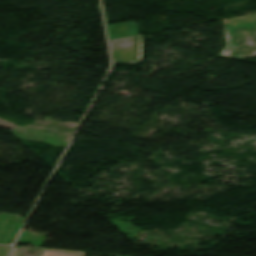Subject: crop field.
<instances>
[{"label": "crop field", "mask_w": 256, "mask_h": 256, "mask_svg": "<svg viewBox=\"0 0 256 256\" xmlns=\"http://www.w3.org/2000/svg\"><path fill=\"white\" fill-rule=\"evenodd\" d=\"M19 248H14L12 256H18ZM42 256H86L85 253H72V252H58L42 250Z\"/></svg>", "instance_id": "412701ff"}, {"label": "crop field", "mask_w": 256, "mask_h": 256, "mask_svg": "<svg viewBox=\"0 0 256 256\" xmlns=\"http://www.w3.org/2000/svg\"><path fill=\"white\" fill-rule=\"evenodd\" d=\"M227 44L221 55L246 58L256 55V14L224 20Z\"/></svg>", "instance_id": "8a807250"}, {"label": "crop field", "mask_w": 256, "mask_h": 256, "mask_svg": "<svg viewBox=\"0 0 256 256\" xmlns=\"http://www.w3.org/2000/svg\"><path fill=\"white\" fill-rule=\"evenodd\" d=\"M114 63H138L141 57V35L110 41Z\"/></svg>", "instance_id": "ac0d7876"}, {"label": "crop field", "mask_w": 256, "mask_h": 256, "mask_svg": "<svg viewBox=\"0 0 256 256\" xmlns=\"http://www.w3.org/2000/svg\"><path fill=\"white\" fill-rule=\"evenodd\" d=\"M10 247L0 246V256H8Z\"/></svg>", "instance_id": "f4fd0767"}, {"label": "crop field", "mask_w": 256, "mask_h": 256, "mask_svg": "<svg viewBox=\"0 0 256 256\" xmlns=\"http://www.w3.org/2000/svg\"><path fill=\"white\" fill-rule=\"evenodd\" d=\"M107 29L109 39L137 34L135 21L109 25Z\"/></svg>", "instance_id": "34b2d1b8"}]
</instances>
